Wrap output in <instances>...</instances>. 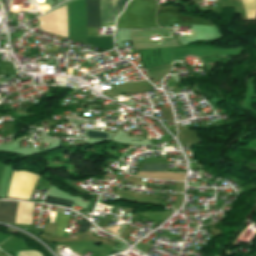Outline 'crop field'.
<instances>
[{"mask_svg":"<svg viewBox=\"0 0 256 256\" xmlns=\"http://www.w3.org/2000/svg\"><path fill=\"white\" fill-rule=\"evenodd\" d=\"M95 205H96V202L91 201L90 204H89V206H88V208H87V212L92 213V211H93Z\"/></svg>","mask_w":256,"mask_h":256,"instance_id":"obj_13","label":"crop field"},{"mask_svg":"<svg viewBox=\"0 0 256 256\" xmlns=\"http://www.w3.org/2000/svg\"><path fill=\"white\" fill-rule=\"evenodd\" d=\"M141 171H166V165L145 164Z\"/></svg>","mask_w":256,"mask_h":256,"instance_id":"obj_9","label":"crop field"},{"mask_svg":"<svg viewBox=\"0 0 256 256\" xmlns=\"http://www.w3.org/2000/svg\"><path fill=\"white\" fill-rule=\"evenodd\" d=\"M44 203L53 204V205H60V206H65V207L71 208L73 202L47 195L46 198H45Z\"/></svg>","mask_w":256,"mask_h":256,"instance_id":"obj_8","label":"crop field"},{"mask_svg":"<svg viewBox=\"0 0 256 256\" xmlns=\"http://www.w3.org/2000/svg\"><path fill=\"white\" fill-rule=\"evenodd\" d=\"M17 202L0 201V221L13 224Z\"/></svg>","mask_w":256,"mask_h":256,"instance_id":"obj_6","label":"crop field"},{"mask_svg":"<svg viewBox=\"0 0 256 256\" xmlns=\"http://www.w3.org/2000/svg\"><path fill=\"white\" fill-rule=\"evenodd\" d=\"M87 28H101L99 0H86Z\"/></svg>","mask_w":256,"mask_h":256,"instance_id":"obj_5","label":"crop field"},{"mask_svg":"<svg viewBox=\"0 0 256 256\" xmlns=\"http://www.w3.org/2000/svg\"><path fill=\"white\" fill-rule=\"evenodd\" d=\"M18 256H42L38 252L35 251H24L20 252Z\"/></svg>","mask_w":256,"mask_h":256,"instance_id":"obj_12","label":"crop field"},{"mask_svg":"<svg viewBox=\"0 0 256 256\" xmlns=\"http://www.w3.org/2000/svg\"><path fill=\"white\" fill-rule=\"evenodd\" d=\"M88 136L89 137H98V138H107V135L102 132H91L88 131Z\"/></svg>","mask_w":256,"mask_h":256,"instance_id":"obj_11","label":"crop field"},{"mask_svg":"<svg viewBox=\"0 0 256 256\" xmlns=\"http://www.w3.org/2000/svg\"><path fill=\"white\" fill-rule=\"evenodd\" d=\"M155 0H132L120 15L117 28H155Z\"/></svg>","mask_w":256,"mask_h":256,"instance_id":"obj_1","label":"crop field"},{"mask_svg":"<svg viewBox=\"0 0 256 256\" xmlns=\"http://www.w3.org/2000/svg\"><path fill=\"white\" fill-rule=\"evenodd\" d=\"M157 23L162 27H171V24L213 25L209 19L182 16L179 8L159 5Z\"/></svg>","mask_w":256,"mask_h":256,"instance_id":"obj_2","label":"crop field"},{"mask_svg":"<svg viewBox=\"0 0 256 256\" xmlns=\"http://www.w3.org/2000/svg\"><path fill=\"white\" fill-rule=\"evenodd\" d=\"M71 215L57 213L55 222L58 223L55 235L62 236Z\"/></svg>","mask_w":256,"mask_h":256,"instance_id":"obj_7","label":"crop field"},{"mask_svg":"<svg viewBox=\"0 0 256 256\" xmlns=\"http://www.w3.org/2000/svg\"><path fill=\"white\" fill-rule=\"evenodd\" d=\"M38 176L20 171L14 172L9 197L29 199Z\"/></svg>","mask_w":256,"mask_h":256,"instance_id":"obj_3","label":"crop field"},{"mask_svg":"<svg viewBox=\"0 0 256 256\" xmlns=\"http://www.w3.org/2000/svg\"><path fill=\"white\" fill-rule=\"evenodd\" d=\"M92 224L88 222L86 219L82 218L81 224L77 232H85L90 228Z\"/></svg>","mask_w":256,"mask_h":256,"instance_id":"obj_10","label":"crop field"},{"mask_svg":"<svg viewBox=\"0 0 256 256\" xmlns=\"http://www.w3.org/2000/svg\"><path fill=\"white\" fill-rule=\"evenodd\" d=\"M126 0H100L102 23H113ZM127 2V1H126Z\"/></svg>","mask_w":256,"mask_h":256,"instance_id":"obj_4","label":"crop field"}]
</instances>
